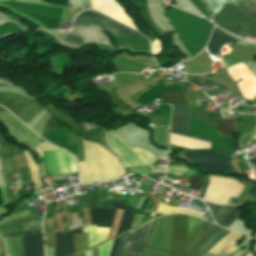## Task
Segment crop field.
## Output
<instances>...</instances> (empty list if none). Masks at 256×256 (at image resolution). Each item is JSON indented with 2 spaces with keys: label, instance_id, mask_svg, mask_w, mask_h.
I'll list each match as a JSON object with an SVG mask.
<instances>
[{
  "label": "crop field",
  "instance_id": "b80d0937",
  "mask_svg": "<svg viewBox=\"0 0 256 256\" xmlns=\"http://www.w3.org/2000/svg\"><path fill=\"white\" fill-rule=\"evenodd\" d=\"M165 190H166V188H165V187H163V189H162V191H161V193H160V195H159V197H158V199H157V201H156V203H155V205H154V207H153V209H152V211H153V212H155V210H156V206H157V203H158V201L160 200V198H161V196H162L163 191H165Z\"/></svg>",
  "mask_w": 256,
  "mask_h": 256
},
{
  "label": "crop field",
  "instance_id": "5142ce71",
  "mask_svg": "<svg viewBox=\"0 0 256 256\" xmlns=\"http://www.w3.org/2000/svg\"><path fill=\"white\" fill-rule=\"evenodd\" d=\"M23 152H24V155L26 157L27 165H28L29 170H30L33 185H34L35 189H38V188L41 187V183H40L39 178H38L39 168L37 167V165L35 164L33 159H31L28 152L27 151H23Z\"/></svg>",
  "mask_w": 256,
  "mask_h": 256
},
{
  "label": "crop field",
  "instance_id": "5866460e",
  "mask_svg": "<svg viewBox=\"0 0 256 256\" xmlns=\"http://www.w3.org/2000/svg\"><path fill=\"white\" fill-rule=\"evenodd\" d=\"M77 11H78V9L70 7L68 12H67L66 18H72Z\"/></svg>",
  "mask_w": 256,
  "mask_h": 256
},
{
  "label": "crop field",
  "instance_id": "5a996713",
  "mask_svg": "<svg viewBox=\"0 0 256 256\" xmlns=\"http://www.w3.org/2000/svg\"><path fill=\"white\" fill-rule=\"evenodd\" d=\"M24 256H44L42 233L23 236Z\"/></svg>",
  "mask_w": 256,
  "mask_h": 256
},
{
  "label": "crop field",
  "instance_id": "dafd665d",
  "mask_svg": "<svg viewBox=\"0 0 256 256\" xmlns=\"http://www.w3.org/2000/svg\"><path fill=\"white\" fill-rule=\"evenodd\" d=\"M21 225L24 233L40 231V221L27 222Z\"/></svg>",
  "mask_w": 256,
  "mask_h": 256
},
{
  "label": "crop field",
  "instance_id": "5d738f31",
  "mask_svg": "<svg viewBox=\"0 0 256 256\" xmlns=\"http://www.w3.org/2000/svg\"><path fill=\"white\" fill-rule=\"evenodd\" d=\"M249 163L253 162L256 166V158H251V159H248Z\"/></svg>",
  "mask_w": 256,
  "mask_h": 256
},
{
  "label": "crop field",
  "instance_id": "0bd39190",
  "mask_svg": "<svg viewBox=\"0 0 256 256\" xmlns=\"http://www.w3.org/2000/svg\"><path fill=\"white\" fill-rule=\"evenodd\" d=\"M235 206H231L221 217L220 219L216 222V223H220L224 218L225 216L234 208Z\"/></svg>",
  "mask_w": 256,
  "mask_h": 256
},
{
  "label": "crop field",
  "instance_id": "d32e631a",
  "mask_svg": "<svg viewBox=\"0 0 256 256\" xmlns=\"http://www.w3.org/2000/svg\"><path fill=\"white\" fill-rule=\"evenodd\" d=\"M65 40L69 41L71 43L79 44V45H81V42H82V39L74 37V36L69 35V34L67 35Z\"/></svg>",
  "mask_w": 256,
  "mask_h": 256
},
{
  "label": "crop field",
  "instance_id": "733c2abd",
  "mask_svg": "<svg viewBox=\"0 0 256 256\" xmlns=\"http://www.w3.org/2000/svg\"><path fill=\"white\" fill-rule=\"evenodd\" d=\"M74 254L87 249V233L73 234Z\"/></svg>",
  "mask_w": 256,
  "mask_h": 256
},
{
  "label": "crop field",
  "instance_id": "eef30255",
  "mask_svg": "<svg viewBox=\"0 0 256 256\" xmlns=\"http://www.w3.org/2000/svg\"><path fill=\"white\" fill-rule=\"evenodd\" d=\"M56 147L50 145V144H47V143H39L38 146L36 147V151L37 153L39 154L40 157H43V154H42V150H47V149H55Z\"/></svg>",
  "mask_w": 256,
  "mask_h": 256
},
{
  "label": "crop field",
  "instance_id": "bc2a9ffb",
  "mask_svg": "<svg viewBox=\"0 0 256 256\" xmlns=\"http://www.w3.org/2000/svg\"><path fill=\"white\" fill-rule=\"evenodd\" d=\"M160 99L166 102H183L187 103L181 92H163Z\"/></svg>",
  "mask_w": 256,
  "mask_h": 256
},
{
  "label": "crop field",
  "instance_id": "e1f06a70",
  "mask_svg": "<svg viewBox=\"0 0 256 256\" xmlns=\"http://www.w3.org/2000/svg\"><path fill=\"white\" fill-rule=\"evenodd\" d=\"M35 136L36 135L32 132L31 135L28 137V139L25 141L24 145L29 146V144L32 142Z\"/></svg>",
  "mask_w": 256,
  "mask_h": 256
},
{
  "label": "crop field",
  "instance_id": "34b2d1b8",
  "mask_svg": "<svg viewBox=\"0 0 256 256\" xmlns=\"http://www.w3.org/2000/svg\"><path fill=\"white\" fill-rule=\"evenodd\" d=\"M184 156L204 170H221L223 172H234L228 162L227 155H216L215 150H182Z\"/></svg>",
  "mask_w": 256,
  "mask_h": 256
},
{
  "label": "crop field",
  "instance_id": "4177f3b9",
  "mask_svg": "<svg viewBox=\"0 0 256 256\" xmlns=\"http://www.w3.org/2000/svg\"><path fill=\"white\" fill-rule=\"evenodd\" d=\"M220 229V227H216L214 230H212L210 233H208L205 237H203V239L198 243V245L192 250V252L189 254V256H192V254L195 252V250L201 246L204 242H206L213 234H215L218 230Z\"/></svg>",
  "mask_w": 256,
  "mask_h": 256
},
{
  "label": "crop field",
  "instance_id": "214f88e0",
  "mask_svg": "<svg viewBox=\"0 0 256 256\" xmlns=\"http://www.w3.org/2000/svg\"><path fill=\"white\" fill-rule=\"evenodd\" d=\"M245 206V205H244ZM242 206H237L219 225L228 228V226L242 213L240 210L242 209ZM237 213H239L237 216H235Z\"/></svg>",
  "mask_w": 256,
  "mask_h": 256
},
{
  "label": "crop field",
  "instance_id": "28ad6ade",
  "mask_svg": "<svg viewBox=\"0 0 256 256\" xmlns=\"http://www.w3.org/2000/svg\"><path fill=\"white\" fill-rule=\"evenodd\" d=\"M216 225L204 221L190 236L187 244L184 247V250L181 256H187L188 253L195 247V245L201 240V238L214 229ZM205 237V236H204Z\"/></svg>",
  "mask_w": 256,
  "mask_h": 256
},
{
  "label": "crop field",
  "instance_id": "c035e120",
  "mask_svg": "<svg viewBox=\"0 0 256 256\" xmlns=\"http://www.w3.org/2000/svg\"><path fill=\"white\" fill-rule=\"evenodd\" d=\"M118 238H119V237H118ZM118 238H116V239L114 240V243H113V247H112L110 256H113V254H114V251H115V248H116V245H117Z\"/></svg>",
  "mask_w": 256,
  "mask_h": 256
},
{
  "label": "crop field",
  "instance_id": "d9b57169",
  "mask_svg": "<svg viewBox=\"0 0 256 256\" xmlns=\"http://www.w3.org/2000/svg\"><path fill=\"white\" fill-rule=\"evenodd\" d=\"M0 230L4 237L22 234L18 219L0 227Z\"/></svg>",
  "mask_w": 256,
  "mask_h": 256
},
{
  "label": "crop field",
  "instance_id": "e52e79f7",
  "mask_svg": "<svg viewBox=\"0 0 256 256\" xmlns=\"http://www.w3.org/2000/svg\"><path fill=\"white\" fill-rule=\"evenodd\" d=\"M82 232V227L68 232H55L56 248L54 256H68L73 254L72 233Z\"/></svg>",
  "mask_w": 256,
  "mask_h": 256
},
{
  "label": "crop field",
  "instance_id": "1d83c4d3",
  "mask_svg": "<svg viewBox=\"0 0 256 256\" xmlns=\"http://www.w3.org/2000/svg\"><path fill=\"white\" fill-rule=\"evenodd\" d=\"M205 202V201H204ZM207 205H208V207H209V209H210V211H211V214L213 215V217L215 216V214L223 207V206H218V205H215V204H210V203H207V202H205Z\"/></svg>",
  "mask_w": 256,
  "mask_h": 256
},
{
  "label": "crop field",
  "instance_id": "25e5ab78",
  "mask_svg": "<svg viewBox=\"0 0 256 256\" xmlns=\"http://www.w3.org/2000/svg\"><path fill=\"white\" fill-rule=\"evenodd\" d=\"M247 256H251L250 252L248 253V255H247Z\"/></svg>",
  "mask_w": 256,
  "mask_h": 256
},
{
  "label": "crop field",
  "instance_id": "a9b5d70f",
  "mask_svg": "<svg viewBox=\"0 0 256 256\" xmlns=\"http://www.w3.org/2000/svg\"><path fill=\"white\" fill-rule=\"evenodd\" d=\"M203 177L204 176L191 177L188 188L199 191V187L202 183Z\"/></svg>",
  "mask_w": 256,
  "mask_h": 256
},
{
  "label": "crop field",
  "instance_id": "ae1a2a85",
  "mask_svg": "<svg viewBox=\"0 0 256 256\" xmlns=\"http://www.w3.org/2000/svg\"><path fill=\"white\" fill-rule=\"evenodd\" d=\"M44 231H54L53 218H44Z\"/></svg>",
  "mask_w": 256,
  "mask_h": 256
},
{
  "label": "crop field",
  "instance_id": "730fd06b",
  "mask_svg": "<svg viewBox=\"0 0 256 256\" xmlns=\"http://www.w3.org/2000/svg\"><path fill=\"white\" fill-rule=\"evenodd\" d=\"M240 8L244 12H255L256 7H254L249 1L240 2Z\"/></svg>",
  "mask_w": 256,
  "mask_h": 256
},
{
  "label": "crop field",
  "instance_id": "bd1437ed",
  "mask_svg": "<svg viewBox=\"0 0 256 256\" xmlns=\"http://www.w3.org/2000/svg\"><path fill=\"white\" fill-rule=\"evenodd\" d=\"M172 209H173L172 207H169V206L159 203L156 212H161L163 214H171Z\"/></svg>",
  "mask_w": 256,
  "mask_h": 256
},
{
  "label": "crop field",
  "instance_id": "03da06ac",
  "mask_svg": "<svg viewBox=\"0 0 256 256\" xmlns=\"http://www.w3.org/2000/svg\"><path fill=\"white\" fill-rule=\"evenodd\" d=\"M207 183H208V182H205V183H204V186H203V188H202L201 196H200L201 199L203 198V194H204V191H205V189H206Z\"/></svg>",
  "mask_w": 256,
  "mask_h": 256
},
{
  "label": "crop field",
  "instance_id": "00972430",
  "mask_svg": "<svg viewBox=\"0 0 256 256\" xmlns=\"http://www.w3.org/2000/svg\"><path fill=\"white\" fill-rule=\"evenodd\" d=\"M203 220L188 216V236L197 228Z\"/></svg>",
  "mask_w": 256,
  "mask_h": 256
},
{
  "label": "crop field",
  "instance_id": "cbeb9de0",
  "mask_svg": "<svg viewBox=\"0 0 256 256\" xmlns=\"http://www.w3.org/2000/svg\"><path fill=\"white\" fill-rule=\"evenodd\" d=\"M112 208L124 210L122 218H121L119 226H118L117 233H116V236H118V235H120L121 231H123L131 226L135 215L130 213V211L132 209L131 207L124 206L118 202L113 201Z\"/></svg>",
  "mask_w": 256,
  "mask_h": 256
},
{
  "label": "crop field",
  "instance_id": "d1516ede",
  "mask_svg": "<svg viewBox=\"0 0 256 256\" xmlns=\"http://www.w3.org/2000/svg\"><path fill=\"white\" fill-rule=\"evenodd\" d=\"M115 211L114 209H90L92 224L100 227H111Z\"/></svg>",
  "mask_w": 256,
  "mask_h": 256
},
{
  "label": "crop field",
  "instance_id": "d3111659",
  "mask_svg": "<svg viewBox=\"0 0 256 256\" xmlns=\"http://www.w3.org/2000/svg\"><path fill=\"white\" fill-rule=\"evenodd\" d=\"M46 247H55L54 233H45Z\"/></svg>",
  "mask_w": 256,
  "mask_h": 256
},
{
  "label": "crop field",
  "instance_id": "4a817a6b",
  "mask_svg": "<svg viewBox=\"0 0 256 256\" xmlns=\"http://www.w3.org/2000/svg\"><path fill=\"white\" fill-rule=\"evenodd\" d=\"M224 123L215 126V129L223 136H231L235 134L232 118L223 119Z\"/></svg>",
  "mask_w": 256,
  "mask_h": 256
},
{
  "label": "crop field",
  "instance_id": "750c4746",
  "mask_svg": "<svg viewBox=\"0 0 256 256\" xmlns=\"http://www.w3.org/2000/svg\"><path fill=\"white\" fill-rule=\"evenodd\" d=\"M0 119L3 123L17 120L11 114H9L7 111L0 112Z\"/></svg>",
  "mask_w": 256,
  "mask_h": 256
},
{
  "label": "crop field",
  "instance_id": "b54c1fbb",
  "mask_svg": "<svg viewBox=\"0 0 256 256\" xmlns=\"http://www.w3.org/2000/svg\"><path fill=\"white\" fill-rule=\"evenodd\" d=\"M227 206H224L217 214L216 216L214 217V219H216L218 217V215L226 208Z\"/></svg>",
  "mask_w": 256,
  "mask_h": 256
},
{
  "label": "crop field",
  "instance_id": "d23c7cc5",
  "mask_svg": "<svg viewBox=\"0 0 256 256\" xmlns=\"http://www.w3.org/2000/svg\"><path fill=\"white\" fill-rule=\"evenodd\" d=\"M249 15L253 16L256 19V14H249Z\"/></svg>",
  "mask_w": 256,
  "mask_h": 256
},
{
  "label": "crop field",
  "instance_id": "412701ff",
  "mask_svg": "<svg viewBox=\"0 0 256 256\" xmlns=\"http://www.w3.org/2000/svg\"><path fill=\"white\" fill-rule=\"evenodd\" d=\"M154 220V219H153ZM153 220L128 231L122 252L140 256L148 239Z\"/></svg>",
  "mask_w": 256,
  "mask_h": 256
},
{
  "label": "crop field",
  "instance_id": "425ffa30",
  "mask_svg": "<svg viewBox=\"0 0 256 256\" xmlns=\"http://www.w3.org/2000/svg\"><path fill=\"white\" fill-rule=\"evenodd\" d=\"M232 1L235 3V5H238L237 0H232Z\"/></svg>",
  "mask_w": 256,
  "mask_h": 256
},
{
  "label": "crop field",
  "instance_id": "92a150f3",
  "mask_svg": "<svg viewBox=\"0 0 256 256\" xmlns=\"http://www.w3.org/2000/svg\"><path fill=\"white\" fill-rule=\"evenodd\" d=\"M207 6L209 7L211 13H216L220 10L223 2L231 3L228 0H204Z\"/></svg>",
  "mask_w": 256,
  "mask_h": 256
},
{
  "label": "crop field",
  "instance_id": "f4fd0767",
  "mask_svg": "<svg viewBox=\"0 0 256 256\" xmlns=\"http://www.w3.org/2000/svg\"><path fill=\"white\" fill-rule=\"evenodd\" d=\"M215 21L230 26H256V21L245 15L234 5L225 4L223 10L215 17Z\"/></svg>",
  "mask_w": 256,
  "mask_h": 256
},
{
  "label": "crop field",
  "instance_id": "3316defc",
  "mask_svg": "<svg viewBox=\"0 0 256 256\" xmlns=\"http://www.w3.org/2000/svg\"><path fill=\"white\" fill-rule=\"evenodd\" d=\"M237 42L223 31L214 28L209 43L207 45V50L210 54H220V48L226 43Z\"/></svg>",
  "mask_w": 256,
  "mask_h": 256
},
{
  "label": "crop field",
  "instance_id": "22f410ed",
  "mask_svg": "<svg viewBox=\"0 0 256 256\" xmlns=\"http://www.w3.org/2000/svg\"><path fill=\"white\" fill-rule=\"evenodd\" d=\"M240 235L234 234V233H228L226 236H224L220 241H218L217 244H215L209 252H212L214 254H218L220 251L224 253H231L234 250L237 249V247H234L233 244L240 238Z\"/></svg>",
  "mask_w": 256,
  "mask_h": 256
},
{
  "label": "crop field",
  "instance_id": "d8731c3e",
  "mask_svg": "<svg viewBox=\"0 0 256 256\" xmlns=\"http://www.w3.org/2000/svg\"><path fill=\"white\" fill-rule=\"evenodd\" d=\"M189 124V108L185 104H174L172 129L186 132Z\"/></svg>",
  "mask_w": 256,
  "mask_h": 256
},
{
  "label": "crop field",
  "instance_id": "028f5c9d",
  "mask_svg": "<svg viewBox=\"0 0 256 256\" xmlns=\"http://www.w3.org/2000/svg\"><path fill=\"white\" fill-rule=\"evenodd\" d=\"M171 132L177 133V134H181V135H185V136H189V137H193V138H197V139H201V140H205V141H209V142H210L209 139H205V138H201V137H197V136H193V135H189V134H185V133H181V132H177V131H173V130H171Z\"/></svg>",
  "mask_w": 256,
  "mask_h": 256
},
{
  "label": "crop field",
  "instance_id": "8a807250",
  "mask_svg": "<svg viewBox=\"0 0 256 256\" xmlns=\"http://www.w3.org/2000/svg\"><path fill=\"white\" fill-rule=\"evenodd\" d=\"M85 162H79L81 183L106 181L125 175L119 161L99 145L83 141Z\"/></svg>",
  "mask_w": 256,
  "mask_h": 256
},
{
  "label": "crop field",
  "instance_id": "ac0d7876",
  "mask_svg": "<svg viewBox=\"0 0 256 256\" xmlns=\"http://www.w3.org/2000/svg\"><path fill=\"white\" fill-rule=\"evenodd\" d=\"M75 25H105V26L125 27L95 11H84L80 13L79 16L75 19ZM105 26H99V27L106 30L112 36L144 38L143 35L129 28L105 27Z\"/></svg>",
  "mask_w": 256,
  "mask_h": 256
},
{
  "label": "crop field",
  "instance_id": "dd49c442",
  "mask_svg": "<svg viewBox=\"0 0 256 256\" xmlns=\"http://www.w3.org/2000/svg\"><path fill=\"white\" fill-rule=\"evenodd\" d=\"M173 240L169 256H179L187 238V216L172 215Z\"/></svg>",
  "mask_w": 256,
  "mask_h": 256
},
{
  "label": "crop field",
  "instance_id": "120bbe31",
  "mask_svg": "<svg viewBox=\"0 0 256 256\" xmlns=\"http://www.w3.org/2000/svg\"><path fill=\"white\" fill-rule=\"evenodd\" d=\"M126 236H127V233L121 235L120 242H119V245L117 247V250H116L114 256H120V251H121V248L123 246V243H124V240H125Z\"/></svg>",
  "mask_w": 256,
  "mask_h": 256
},
{
  "label": "crop field",
  "instance_id": "c21b1889",
  "mask_svg": "<svg viewBox=\"0 0 256 256\" xmlns=\"http://www.w3.org/2000/svg\"><path fill=\"white\" fill-rule=\"evenodd\" d=\"M256 27L247 28L246 32L252 34L254 36Z\"/></svg>",
  "mask_w": 256,
  "mask_h": 256
}]
</instances>
